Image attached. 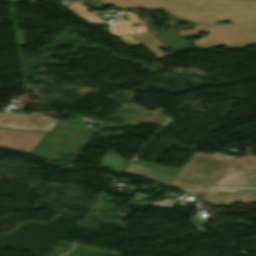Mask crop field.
Wrapping results in <instances>:
<instances>
[{"label":"crop field","instance_id":"8a807250","mask_svg":"<svg viewBox=\"0 0 256 256\" xmlns=\"http://www.w3.org/2000/svg\"><path fill=\"white\" fill-rule=\"evenodd\" d=\"M167 14L195 23L256 22V0H161Z\"/></svg>","mask_w":256,"mask_h":256},{"label":"crop field","instance_id":"ac0d7876","mask_svg":"<svg viewBox=\"0 0 256 256\" xmlns=\"http://www.w3.org/2000/svg\"><path fill=\"white\" fill-rule=\"evenodd\" d=\"M197 32L208 31L209 35L194 42L197 48L208 49L220 45L227 48H243L256 44V23L230 25H195Z\"/></svg>","mask_w":256,"mask_h":256},{"label":"crop field","instance_id":"34b2d1b8","mask_svg":"<svg viewBox=\"0 0 256 256\" xmlns=\"http://www.w3.org/2000/svg\"><path fill=\"white\" fill-rule=\"evenodd\" d=\"M233 158L221 153L210 155L195 152L176 177L210 185Z\"/></svg>","mask_w":256,"mask_h":256},{"label":"crop field","instance_id":"412701ff","mask_svg":"<svg viewBox=\"0 0 256 256\" xmlns=\"http://www.w3.org/2000/svg\"><path fill=\"white\" fill-rule=\"evenodd\" d=\"M125 44L136 46L143 44L152 51L157 58L167 56L180 50L188 49L190 43L182 38L176 31L150 32L144 34L119 37ZM163 46L172 52L163 53L158 47Z\"/></svg>","mask_w":256,"mask_h":256},{"label":"crop field","instance_id":"f4fd0767","mask_svg":"<svg viewBox=\"0 0 256 256\" xmlns=\"http://www.w3.org/2000/svg\"><path fill=\"white\" fill-rule=\"evenodd\" d=\"M214 185L256 188V157L247 156L236 159Z\"/></svg>","mask_w":256,"mask_h":256},{"label":"crop field","instance_id":"dd49c442","mask_svg":"<svg viewBox=\"0 0 256 256\" xmlns=\"http://www.w3.org/2000/svg\"><path fill=\"white\" fill-rule=\"evenodd\" d=\"M84 144L65 137L47 135L31 154L51 161L54 159L61 160L64 156L57 155L56 151L76 155Z\"/></svg>","mask_w":256,"mask_h":256},{"label":"crop field","instance_id":"e52e79f7","mask_svg":"<svg viewBox=\"0 0 256 256\" xmlns=\"http://www.w3.org/2000/svg\"><path fill=\"white\" fill-rule=\"evenodd\" d=\"M58 122L59 120L45 117L36 112L31 115L9 113L0 126L48 133Z\"/></svg>","mask_w":256,"mask_h":256},{"label":"crop field","instance_id":"d8731c3e","mask_svg":"<svg viewBox=\"0 0 256 256\" xmlns=\"http://www.w3.org/2000/svg\"><path fill=\"white\" fill-rule=\"evenodd\" d=\"M45 136L46 134L40 132L0 128V147H9L30 153Z\"/></svg>","mask_w":256,"mask_h":256},{"label":"crop field","instance_id":"5a996713","mask_svg":"<svg viewBox=\"0 0 256 256\" xmlns=\"http://www.w3.org/2000/svg\"><path fill=\"white\" fill-rule=\"evenodd\" d=\"M205 202L211 205H228L231 202H256L255 189L213 188L207 194Z\"/></svg>","mask_w":256,"mask_h":256},{"label":"crop field","instance_id":"3316defc","mask_svg":"<svg viewBox=\"0 0 256 256\" xmlns=\"http://www.w3.org/2000/svg\"><path fill=\"white\" fill-rule=\"evenodd\" d=\"M49 133L63 135L78 141L88 142L94 136L96 130L60 121Z\"/></svg>","mask_w":256,"mask_h":256},{"label":"crop field","instance_id":"28ad6ade","mask_svg":"<svg viewBox=\"0 0 256 256\" xmlns=\"http://www.w3.org/2000/svg\"><path fill=\"white\" fill-rule=\"evenodd\" d=\"M130 17V21L116 22L113 26L108 27L112 36H121L135 33L147 32L142 21L133 13L124 12ZM141 23L142 27H132L131 24Z\"/></svg>","mask_w":256,"mask_h":256},{"label":"crop field","instance_id":"d1516ede","mask_svg":"<svg viewBox=\"0 0 256 256\" xmlns=\"http://www.w3.org/2000/svg\"><path fill=\"white\" fill-rule=\"evenodd\" d=\"M124 172L134 174V175H139L149 180H152L154 182L164 183V184H169V182L173 178V176L165 175L160 172H155L151 168H147L134 163H131Z\"/></svg>","mask_w":256,"mask_h":256},{"label":"crop field","instance_id":"22f410ed","mask_svg":"<svg viewBox=\"0 0 256 256\" xmlns=\"http://www.w3.org/2000/svg\"><path fill=\"white\" fill-rule=\"evenodd\" d=\"M103 5L125 8H162L160 0H101Z\"/></svg>","mask_w":256,"mask_h":256},{"label":"crop field","instance_id":"cbeb9de0","mask_svg":"<svg viewBox=\"0 0 256 256\" xmlns=\"http://www.w3.org/2000/svg\"><path fill=\"white\" fill-rule=\"evenodd\" d=\"M84 8L86 7L78 3H74L67 6V11L92 24L102 25L106 23L104 20L98 18L97 16L83 10Z\"/></svg>","mask_w":256,"mask_h":256},{"label":"crop field","instance_id":"5142ce71","mask_svg":"<svg viewBox=\"0 0 256 256\" xmlns=\"http://www.w3.org/2000/svg\"><path fill=\"white\" fill-rule=\"evenodd\" d=\"M170 185L192 194H201L205 192L209 187L202 186L200 184H196L176 177L173 178V180L170 182Z\"/></svg>","mask_w":256,"mask_h":256},{"label":"crop field","instance_id":"d9b57169","mask_svg":"<svg viewBox=\"0 0 256 256\" xmlns=\"http://www.w3.org/2000/svg\"><path fill=\"white\" fill-rule=\"evenodd\" d=\"M134 163H138L144 166H148L153 168L155 171H160L165 174L173 175L175 176L177 172L180 170L179 168H173V167H167V166H161V165H155V164H149L145 162H139V161H133Z\"/></svg>","mask_w":256,"mask_h":256},{"label":"crop field","instance_id":"733c2abd","mask_svg":"<svg viewBox=\"0 0 256 256\" xmlns=\"http://www.w3.org/2000/svg\"><path fill=\"white\" fill-rule=\"evenodd\" d=\"M175 204V201L167 200L165 199L164 202H158L154 201L152 204L153 207H159V208H167V209H172Z\"/></svg>","mask_w":256,"mask_h":256},{"label":"crop field","instance_id":"4a817a6b","mask_svg":"<svg viewBox=\"0 0 256 256\" xmlns=\"http://www.w3.org/2000/svg\"><path fill=\"white\" fill-rule=\"evenodd\" d=\"M206 219L205 218H199V219H195L192 220L191 223L194 224V226L196 227V229L200 232V233H204L203 228H201L205 223H206Z\"/></svg>","mask_w":256,"mask_h":256},{"label":"crop field","instance_id":"bc2a9ffb","mask_svg":"<svg viewBox=\"0 0 256 256\" xmlns=\"http://www.w3.org/2000/svg\"><path fill=\"white\" fill-rule=\"evenodd\" d=\"M177 32H178L182 37L197 35V32L194 31L193 29H191V30H182V31H177Z\"/></svg>","mask_w":256,"mask_h":256},{"label":"crop field","instance_id":"214f88e0","mask_svg":"<svg viewBox=\"0 0 256 256\" xmlns=\"http://www.w3.org/2000/svg\"><path fill=\"white\" fill-rule=\"evenodd\" d=\"M144 25H145V27H146V29H147L148 32H149V31H152L151 28L148 26V24H147L146 22H144Z\"/></svg>","mask_w":256,"mask_h":256},{"label":"crop field","instance_id":"92a150f3","mask_svg":"<svg viewBox=\"0 0 256 256\" xmlns=\"http://www.w3.org/2000/svg\"><path fill=\"white\" fill-rule=\"evenodd\" d=\"M250 153V149L249 147H247V155Z\"/></svg>","mask_w":256,"mask_h":256},{"label":"crop field","instance_id":"dafd665d","mask_svg":"<svg viewBox=\"0 0 256 256\" xmlns=\"http://www.w3.org/2000/svg\"><path fill=\"white\" fill-rule=\"evenodd\" d=\"M120 180H121V181H127L126 179H122V178H120ZM127 182H129V181H127Z\"/></svg>","mask_w":256,"mask_h":256},{"label":"crop field","instance_id":"00972430","mask_svg":"<svg viewBox=\"0 0 256 256\" xmlns=\"http://www.w3.org/2000/svg\"><path fill=\"white\" fill-rule=\"evenodd\" d=\"M3 114H4V113H0V119H1V117L3 116Z\"/></svg>","mask_w":256,"mask_h":256}]
</instances>
